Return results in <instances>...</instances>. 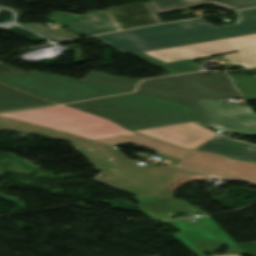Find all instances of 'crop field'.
<instances>
[{
	"label": "crop field",
	"mask_w": 256,
	"mask_h": 256,
	"mask_svg": "<svg viewBox=\"0 0 256 256\" xmlns=\"http://www.w3.org/2000/svg\"><path fill=\"white\" fill-rule=\"evenodd\" d=\"M237 13L238 22L230 26L215 27L200 18L94 38L124 54H135L255 33L256 8Z\"/></svg>",
	"instance_id": "crop-field-3"
},
{
	"label": "crop field",
	"mask_w": 256,
	"mask_h": 256,
	"mask_svg": "<svg viewBox=\"0 0 256 256\" xmlns=\"http://www.w3.org/2000/svg\"><path fill=\"white\" fill-rule=\"evenodd\" d=\"M73 143L102 171L95 180L135 196L174 198L176 190L182 183L193 179L206 180L210 177L177 167L168 174L125 163L128 160L114 147L115 145L133 143L156 151L167 144L133 132Z\"/></svg>",
	"instance_id": "crop-field-2"
},
{
	"label": "crop field",
	"mask_w": 256,
	"mask_h": 256,
	"mask_svg": "<svg viewBox=\"0 0 256 256\" xmlns=\"http://www.w3.org/2000/svg\"><path fill=\"white\" fill-rule=\"evenodd\" d=\"M103 11L115 28L126 29L161 22L149 2L109 8Z\"/></svg>",
	"instance_id": "crop-field-10"
},
{
	"label": "crop field",
	"mask_w": 256,
	"mask_h": 256,
	"mask_svg": "<svg viewBox=\"0 0 256 256\" xmlns=\"http://www.w3.org/2000/svg\"><path fill=\"white\" fill-rule=\"evenodd\" d=\"M26 28H29L33 31H36L38 33H41L45 36H48L50 38H52L54 41H62V40H68V39H74L70 36H67L65 34H62L58 31H55L53 29H50L48 27H45L43 25H40L38 23H33V24H30V25H22Z\"/></svg>",
	"instance_id": "crop-field-21"
},
{
	"label": "crop field",
	"mask_w": 256,
	"mask_h": 256,
	"mask_svg": "<svg viewBox=\"0 0 256 256\" xmlns=\"http://www.w3.org/2000/svg\"><path fill=\"white\" fill-rule=\"evenodd\" d=\"M196 149L209 150L227 156L256 160V146L216 136Z\"/></svg>",
	"instance_id": "crop-field-15"
},
{
	"label": "crop field",
	"mask_w": 256,
	"mask_h": 256,
	"mask_svg": "<svg viewBox=\"0 0 256 256\" xmlns=\"http://www.w3.org/2000/svg\"><path fill=\"white\" fill-rule=\"evenodd\" d=\"M252 70L256 71V68H254V69H252Z\"/></svg>",
	"instance_id": "crop-field-28"
},
{
	"label": "crop field",
	"mask_w": 256,
	"mask_h": 256,
	"mask_svg": "<svg viewBox=\"0 0 256 256\" xmlns=\"http://www.w3.org/2000/svg\"><path fill=\"white\" fill-rule=\"evenodd\" d=\"M210 3L230 10L256 6V0H156L150 2L156 13L177 11Z\"/></svg>",
	"instance_id": "crop-field-14"
},
{
	"label": "crop field",
	"mask_w": 256,
	"mask_h": 256,
	"mask_svg": "<svg viewBox=\"0 0 256 256\" xmlns=\"http://www.w3.org/2000/svg\"><path fill=\"white\" fill-rule=\"evenodd\" d=\"M0 81L61 103L134 91L139 82L95 72L79 81L36 71L0 76Z\"/></svg>",
	"instance_id": "crop-field-4"
},
{
	"label": "crop field",
	"mask_w": 256,
	"mask_h": 256,
	"mask_svg": "<svg viewBox=\"0 0 256 256\" xmlns=\"http://www.w3.org/2000/svg\"><path fill=\"white\" fill-rule=\"evenodd\" d=\"M215 82L229 86L230 92L204 88ZM210 98L241 97L226 75L200 72L146 80L130 95L69 105L137 131L202 120L201 99Z\"/></svg>",
	"instance_id": "crop-field-1"
},
{
	"label": "crop field",
	"mask_w": 256,
	"mask_h": 256,
	"mask_svg": "<svg viewBox=\"0 0 256 256\" xmlns=\"http://www.w3.org/2000/svg\"><path fill=\"white\" fill-rule=\"evenodd\" d=\"M21 72V70L11 67L0 62V75Z\"/></svg>",
	"instance_id": "crop-field-23"
},
{
	"label": "crop field",
	"mask_w": 256,
	"mask_h": 256,
	"mask_svg": "<svg viewBox=\"0 0 256 256\" xmlns=\"http://www.w3.org/2000/svg\"><path fill=\"white\" fill-rule=\"evenodd\" d=\"M203 121L196 123L238 134H256V114L249 106L223 104V99L202 100Z\"/></svg>",
	"instance_id": "crop-field-8"
},
{
	"label": "crop field",
	"mask_w": 256,
	"mask_h": 256,
	"mask_svg": "<svg viewBox=\"0 0 256 256\" xmlns=\"http://www.w3.org/2000/svg\"><path fill=\"white\" fill-rule=\"evenodd\" d=\"M128 163L136 164V163H133V162H128ZM136 165H140V164H136ZM140 166H143V165H140ZM144 167H149V168H153V169H157V170H161V171H165V172H168L172 168V166H169V165H166V166L161 167V168H156V167H152V166H148V165H146Z\"/></svg>",
	"instance_id": "crop-field-25"
},
{
	"label": "crop field",
	"mask_w": 256,
	"mask_h": 256,
	"mask_svg": "<svg viewBox=\"0 0 256 256\" xmlns=\"http://www.w3.org/2000/svg\"><path fill=\"white\" fill-rule=\"evenodd\" d=\"M177 166L220 177L256 184V163L237 161L210 152L193 151Z\"/></svg>",
	"instance_id": "crop-field-9"
},
{
	"label": "crop field",
	"mask_w": 256,
	"mask_h": 256,
	"mask_svg": "<svg viewBox=\"0 0 256 256\" xmlns=\"http://www.w3.org/2000/svg\"><path fill=\"white\" fill-rule=\"evenodd\" d=\"M49 21L59 25L64 24L74 32L82 33L87 36L115 30V27L113 28L102 11L90 12L85 16L56 13L49 18Z\"/></svg>",
	"instance_id": "crop-field-12"
},
{
	"label": "crop field",
	"mask_w": 256,
	"mask_h": 256,
	"mask_svg": "<svg viewBox=\"0 0 256 256\" xmlns=\"http://www.w3.org/2000/svg\"><path fill=\"white\" fill-rule=\"evenodd\" d=\"M8 115L91 138L128 132L110 121L65 105Z\"/></svg>",
	"instance_id": "crop-field-6"
},
{
	"label": "crop field",
	"mask_w": 256,
	"mask_h": 256,
	"mask_svg": "<svg viewBox=\"0 0 256 256\" xmlns=\"http://www.w3.org/2000/svg\"><path fill=\"white\" fill-rule=\"evenodd\" d=\"M235 51L239 52L224 56L231 65H241L244 68L256 66V34L145 52L135 56L172 75L198 71L192 63L193 59Z\"/></svg>",
	"instance_id": "crop-field-5"
},
{
	"label": "crop field",
	"mask_w": 256,
	"mask_h": 256,
	"mask_svg": "<svg viewBox=\"0 0 256 256\" xmlns=\"http://www.w3.org/2000/svg\"><path fill=\"white\" fill-rule=\"evenodd\" d=\"M50 105H57V104L40 97H36L31 99H25V100L0 104V113L22 110V109H29V108H36V107H43V106H50Z\"/></svg>",
	"instance_id": "crop-field-17"
},
{
	"label": "crop field",
	"mask_w": 256,
	"mask_h": 256,
	"mask_svg": "<svg viewBox=\"0 0 256 256\" xmlns=\"http://www.w3.org/2000/svg\"><path fill=\"white\" fill-rule=\"evenodd\" d=\"M167 200L171 215L185 213L189 214L190 217H193L194 214L202 213L203 216H205V214L198 207L188 204L185 200H176L170 198H167Z\"/></svg>",
	"instance_id": "crop-field-19"
},
{
	"label": "crop field",
	"mask_w": 256,
	"mask_h": 256,
	"mask_svg": "<svg viewBox=\"0 0 256 256\" xmlns=\"http://www.w3.org/2000/svg\"><path fill=\"white\" fill-rule=\"evenodd\" d=\"M157 152L181 159L187 153H189L190 150H184V149H181L176 146L168 144V145L164 146L163 148H161L160 150H158Z\"/></svg>",
	"instance_id": "crop-field-22"
},
{
	"label": "crop field",
	"mask_w": 256,
	"mask_h": 256,
	"mask_svg": "<svg viewBox=\"0 0 256 256\" xmlns=\"http://www.w3.org/2000/svg\"><path fill=\"white\" fill-rule=\"evenodd\" d=\"M216 135L217 134H215V135H213V136H211V137H209V138H207V139H205V140H203V141H201V142H199V143H197V144H195V145H193V146H191V147H189L187 149H194V148L198 147L199 145L203 144L204 142L208 141L209 139L213 138Z\"/></svg>",
	"instance_id": "crop-field-26"
},
{
	"label": "crop field",
	"mask_w": 256,
	"mask_h": 256,
	"mask_svg": "<svg viewBox=\"0 0 256 256\" xmlns=\"http://www.w3.org/2000/svg\"><path fill=\"white\" fill-rule=\"evenodd\" d=\"M163 224H168L174 227V229H177L172 223L171 221H162Z\"/></svg>",
	"instance_id": "crop-field-27"
},
{
	"label": "crop field",
	"mask_w": 256,
	"mask_h": 256,
	"mask_svg": "<svg viewBox=\"0 0 256 256\" xmlns=\"http://www.w3.org/2000/svg\"><path fill=\"white\" fill-rule=\"evenodd\" d=\"M130 199L140 203L135 206L146 213L153 220L169 219L166 211L164 198L151 197H130Z\"/></svg>",
	"instance_id": "crop-field-16"
},
{
	"label": "crop field",
	"mask_w": 256,
	"mask_h": 256,
	"mask_svg": "<svg viewBox=\"0 0 256 256\" xmlns=\"http://www.w3.org/2000/svg\"><path fill=\"white\" fill-rule=\"evenodd\" d=\"M206 88L214 89V90H219V91H225V92H228L229 89H230L229 87L220 85V84H218V83H215V84H213V85H211V86H208V87H206Z\"/></svg>",
	"instance_id": "crop-field-24"
},
{
	"label": "crop field",
	"mask_w": 256,
	"mask_h": 256,
	"mask_svg": "<svg viewBox=\"0 0 256 256\" xmlns=\"http://www.w3.org/2000/svg\"><path fill=\"white\" fill-rule=\"evenodd\" d=\"M137 133L155 137L183 148L214 134L194 122L138 131Z\"/></svg>",
	"instance_id": "crop-field-11"
},
{
	"label": "crop field",
	"mask_w": 256,
	"mask_h": 256,
	"mask_svg": "<svg viewBox=\"0 0 256 256\" xmlns=\"http://www.w3.org/2000/svg\"><path fill=\"white\" fill-rule=\"evenodd\" d=\"M36 97L21 90L0 83V103Z\"/></svg>",
	"instance_id": "crop-field-20"
},
{
	"label": "crop field",
	"mask_w": 256,
	"mask_h": 256,
	"mask_svg": "<svg viewBox=\"0 0 256 256\" xmlns=\"http://www.w3.org/2000/svg\"><path fill=\"white\" fill-rule=\"evenodd\" d=\"M196 222L188 220H175V225L181 230L174 236L185 243L197 255L204 256L203 253L211 252L217 256L216 250H222L219 246L223 243L231 250L225 251L222 256H241L246 252L235 243L227 234H225L209 217L194 218Z\"/></svg>",
	"instance_id": "crop-field-7"
},
{
	"label": "crop field",
	"mask_w": 256,
	"mask_h": 256,
	"mask_svg": "<svg viewBox=\"0 0 256 256\" xmlns=\"http://www.w3.org/2000/svg\"><path fill=\"white\" fill-rule=\"evenodd\" d=\"M0 130L20 131L40 135L50 139H60L74 141L79 139H87V137L77 134L65 132L62 130L50 128L36 123L20 120L17 118L1 115Z\"/></svg>",
	"instance_id": "crop-field-13"
},
{
	"label": "crop field",
	"mask_w": 256,
	"mask_h": 256,
	"mask_svg": "<svg viewBox=\"0 0 256 256\" xmlns=\"http://www.w3.org/2000/svg\"><path fill=\"white\" fill-rule=\"evenodd\" d=\"M246 100L256 99V80L251 76H230Z\"/></svg>",
	"instance_id": "crop-field-18"
}]
</instances>
